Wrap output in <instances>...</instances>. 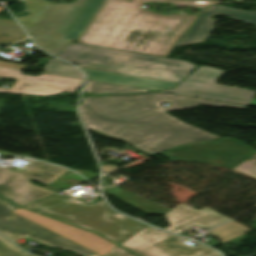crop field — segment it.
<instances>
[{
	"instance_id": "crop-field-1",
	"label": "crop field",
	"mask_w": 256,
	"mask_h": 256,
	"mask_svg": "<svg viewBox=\"0 0 256 256\" xmlns=\"http://www.w3.org/2000/svg\"><path fill=\"white\" fill-rule=\"evenodd\" d=\"M80 114L86 127L102 135L127 142L153 154L180 144L219 139L170 115L168 111L200 105L246 110L248 106L164 92L134 95H101L82 98ZM132 102L133 104H127ZM171 102L165 108L162 103ZM170 103V104H171Z\"/></svg>"
},
{
	"instance_id": "crop-field-2",
	"label": "crop field",
	"mask_w": 256,
	"mask_h": 256,
	"mask_svg": "<svg viewBox=\"0 0 256 256\" xmlns=\"http://www.w3.org/2000/svg\"><path fill=\"white\" fill-rule=\"evenodd\" d=\"M103 1L54 4L47 0H25L29 15L17 19L29 34L35 32L32 37L41 48L70 63L173 82H180L196 67L185 61L72 43ZM95 63L98 64L94 66Z\"/></svg>"
},
{
	"instance_id": "crop-field-3",
	"label": "crop field",
	"mask_w": 256,
	"mask_h": 256,
	"mask_svg": "<svg viewBox=\"0 0 256 256\" xmlns=\"http://www.w3.org/2000/svg\"><path fill=\"white\" fill-rule=\"evenodd\" d=\"M146 2H172L173 6L204 7L220 1L105 0L78 43L167 57L197 16L158 15L140 10Z\"/></svg>"
},
{
	"instance_id": "crop-field-4",
	"label": "crop field",
	"mask_w": 256,
	"mask_h": 256,
	"mask_svg": "<svg viewBox=\"0 0 256 256\" xmlns=\"http://www.w3.org/2000/svg\"><path fill=\"white\" fill-rule=\"evenodd\" d=\"M23 207L93 231L118 245L147 226L114 212L104 200L88 206L52 195Z\"/></svg>"
},
{
	"instance_id": "crop-field-5",
	"label": "crop field",
	"mask_w": 256,
	"mask_h": 256,
	"mask_svg": "<svg viewBox=\"0 0 256 256\" xmlns=\"http://www.w3.org/2000/svg\"><path fill=\"white\" fill-rule=\"evenodd\" d=\"M160 154L171 160L202 162L233 169L256 154V150L236 139L225 138L181 145Z\"/></svg>"
},
{
	"instance_id": "crop-field-6",
	"label": "crop field",
	"mask_w": 256,
	"mask_h": 256,
	"mask_svg": "<svg viewBox=\"0 0 256 256\" xmlns=\"http://www.w3.org/2000/svg\"><path fill=\"white\" fill-rule=\"evenodd\" d=\"M65 171L67 170L59 166L35 160L31 161L24 173H17L0 167V195L23 206L55 193L31 184L28 181L29 178L51 184Z\"/></svg>"
},
{
	"instance_id": "crop-field-7",
	"label": "crop field",
	"mask_w": 256,
	"mask_h": 256,
	"mask_svg": "<svg viewBox=\"0 0 256 256\" xmlns=\"http://www.w3.org/2000/svg\"><path fill=\"white\" fill-rule=\"evenodd\" d=\"M184 239L148 226L120 246L139 256H220L203 245L193 248Z\"/></svg>"
},
{
	"instance_id": "crop-field-8",
	"label": "crop field",
	"mask_w": 256,
	"mask_h": 256,
	"mask_svg": "<svg viewBox=\"0 0 256 256\" xmlns=\"http://www.w3.org/2000/svg\"><path fill=\"white\" fill-rule=\"evenodd\" d=\"M223 73L216 68L199 67L174 90L165 92L248 105L256 92L217 85L215 81Z\"/></svg>"
},
{
	"instance_id": "crop-field-9",
	"label": "crop field",
	"mask_w": 256,
	"mask_h": 256,
	"mask_svg": "<svg viewBox=\"0 0 256 256\" xmlns=\"http://www.w3.org/2000/svg\"><path fill=\"white\" fill-rule=\"evenodd\" d=\"M21 70L0 67V76L17 79L12 89L0 87V91L39 95H53L62 91L74 93L82 82V79L49 74L24 75Z\"/></svg>"
},
{
	"instance_id": "crop-field-10",
	"label": "crop field",
	"mask_w": 256,
	"mask_h": 256,
	"mask_svg": "<svg viewBox=\"0 0 256 256\" xmlns=\"http://www.w3.org/2000/svg\"><path fill=\"white\" fill-rule=\"evenodd\" d=\"M41 227H44L64 238H67L83 247H86L100 255H105L116 244L78 227L68 225L46 216L19 208L11 211Z\"/></svg>"
},
{
	"instance_id": "crop-field-11",
	"label": "crop field",
	"mask_w": 256,
	"mask_h": 256,
	"mask_svg": "<svg viewBox=\"0 0 256 256\" xmlns=\"http://www.w3.org/2000/svg\"><path fill=\"white\" fill-rule=\"evenodd\" d=\"M165 216L170 222V226L165 230L176 234L186 231L195 225L211 229L230 220L207 207L198 211L182 203L165 214Z\"/></svg>"
},
{
	"instance_id": "crop-field-12",
	"label": "crop field",
	"mask_w": 256,
	"mask_h": 256,
	"mask_svg": "<svg viewBox=\"0 0 256 256\" xmlns=\"http://www.w3.org/2000/svg\"><path fill=\"white\" fill-rule=\"evenodd\" d=\"M215 13L228 15L233 20L256 25V12H245L222 5L209 6L185 35V39H182L177 46L204 41L215 28L212 26L215 21L210 19Z\"/></svg>"
},
{
	"instance_id": "crop-field-13",
	"label": "crop field",
	"mask_w": 256,
	"mask_h": 256,
	"mask_svg": "<svg viewBox=\"0 0 256 256\" xmlns=\"http://www.w3.org/2000/svg\"><path fill=\"white\" fill-rule=\"evenodd\" d=\"M16 208L19 207L0 197V233L14 242L41 228L9 212Z\"/></svg>"
},
{
	"instance_id": "crop-field-14",
	"label": "crop field",
	"mask_w": 256,
	"mask_h": 256,
	"mask_svg": "<svg viewBox=\"0 0 256 256\" xmlns=\"http://www.w3.org/2000/svg\"><path fill=\"white\" fill-rule=\"evenodd\" d=\"M82 69L85 71L87 78L90 80H96L101 82L126 85V86L138 87V88L158 90V89L173 88L178 84V83L161 81V80L133 77V76H127V75H117L115 73L98 71V70H91V69H85V68H82Z\"/></svg>"
},
{
	"instance_id": "crop-field-15",
	"label": "crop field",
	"mask_w": 256,
	"mask_h": 256,
	"mask_svg": "<svg viewBox=\"0 0 256 256\" xmlns=\"http://www.w3.org/2000/svg\"><path fill=\"white\" fill-rule=\"evenodd\" d=\"M102 190L103 192L117 197L120 200L142 210L147 214L164 215L170 210L166 207H163L159 204H156L117 186H114L112 188H102Z\"/></svg>"
},
{
	"instance_id": "crop-field-16",
	"label": "crop field",
	"mask_w": 256,
	"mask_h": 256,
	"mask_svg": "<svg viewBox=\"0 0 256 256\" xmlns=\"http://www.w3.org/2000/svg\"><path fill=\"white\" fill-rule=\"evenodd\" d=\"M27 237L35 239L37 241H40L42 243L48 244L53 247L64 248V249L74 251L82 256H88L93 253V252H91V251H89V250H87V249L67 240V239H64V238H62L44 228L27 236Z\"/></svg>"
},
{
	"instance_id": "crop-field-17",
	"label": "crop field",
	"mask_w": 256,
	"mask_h": 256,
	"mask_svg": "<svg viewBox=\"0 0 256 256\" xmlns=\"http://www.w3.org/2000/svg\"><path fill=\"white\" fill-rule=\"evenodd\" d=\"M151 90L138 89L126 86H119L107 83H101L96 81L88 80L84 88V92L90 94H99V93H134V92H145Z\"/></svg>"
},
{
	"instance_id": "crop-field-18",
	"label": "crop field",
	"mask_w": 256,
	"mask_h": 256,
	"mask_svg": "<svg viewBox=\"0 0 256 256\" xmlns=\"http://www.w3.org/2000/svg\"><path fill=\"white\" fill-rule=\"evenodd\" d=\"M250 231L249 229L231 221L229 223H226L222 226H219L212 231H210L209 234L217 237L218 239L226 242L232 238H235L241 234H244L246 232Z\"/></svg>"
},
{
	"instance_id": "crop-field-19",
	"label": "crop field",
	"mask_w": 256,
	"mask_h": 256,
	"mask_svg": "<svg viewBox=\"0 0 256 256\" xmlns=\"http://www.w3.org/2000/svg\"><path fill=\"white\" fill-rule=\"evenodd\" d=\"M3 34L8 35V37L2 36ZM25 37V33L14 20L0 18V43L16 41Z\"/></svg>"
},
{
	"instance_id": "crop-field-20",
	"label": "crop field",
	"mask_w": 256,
	"mask_h": 256,
	"mask_svg": "<svg viewBox=\"0 0 256 256\" xmlns=\"http://www.w3.org/2000/svg\"><path fill=\"white\" fill-rule=\"evenodd\" d=\"M47 63H49V64L44 65L46 73L70 76V77H77V78L83 79L82 73L75 67L67 66L66 64H60V61H58L56 59H51Z\"/></svg>"
},
{
	"instance_id": "crop-field-21",
	"label": "crop field",
	"mask_w": 256,
	"mask_h": 256,
	"mask_svg": "<svg viewBox=\"0 0 256 256\" xmlns=\"http://www.w3.org/2000/svg\"><path fill=\"white\" fill-rule=\"evenodd\" d=\"M0 256H33L27 254L0 236Z\"/></svg>"
},
{
	"instance_id": "crop-field-22",
	"label": "crop field",
	"mask_w": 256,
	"mask_h": 256,
	"mask_svg": "<svg viewBox=\"0 0 256 256\" xmlns=\"http://www.w3.org/2000/svg\"><path fill=\"white\" fill-rule=\"evenodd\" d=\"M234 171L256 178V155L235 168Z\"/></svg>"
},
{
	"instance_id": "crop-field-23",
	"label": "crop field",
	"mask_w": 256,
	"mask_h": 256,
	"mask_svg": "<svg viewBox=\"0 0 256 256\" xmlns=\"http://www.w3.org/2000/svg\"><path fill=\"white\" fill-rule=\"evenodd\" d=\"M105 256H136V255L117 246L113 250H111L109 253H107Z\"/></svg>"
},
{
	"instance_id": "crop-field-24",
	"label": "crop field",
	"mask_w": 256,
	"mask_h": 256,
	"mask_svg": "<svg viewBox=\"0 0 256 256\" xmlns=\"http://www.w3.org/2000/svg\"><path fill=\"white\" fill-rule=\"evenodd\" d=\"M0 66L15 67V68H24L25 67V65H16V64H11V63L2 62V61H0Z\"/></svg>"
},
{
	"instance_id": "crop-field-25",
	"label": "crop field",
	"mask_w": 256,
	"mask_h": 256,
	"mask_svg": "<svg viewBox=\"0 0 256 256\" xmlns=\"http://www.w3.org/2000/svg\"><path fill=\"white\" fill-rule=\"evenodd\" d=\"M102 169H103V172H108L117 168H114V166L106 165V166H103Z\"/></svg>"
},
{
	"instance_id": "crop-field-26",
	"label": "crop field",
	"mask_w": 256,
	"mask_h": 256,
	"mask_svg": "<svg viewBox=\"0 0 256 256\" xmlns=\"http://www.w3.org/2000/svg\"><path fill=\"white\" fill-rule=\"evenodd\" d=\"M249 105H251V106H256V99H252V101L250 102Z\"/></svg>"
},
{
	"instance_id": "crop-field-27",
	"label": "crop field",
	"mask_w": 256,
	"mask_h": 256,
	"mask_svg": "<svg viewBox=\"0 0 256 256\" xmlns=\"http://www.w3.org/2000/svg\"><path fill=\"white\" fill-rule=\"evenodd\" d=\"M0 154H2V155H15V154L6 153V152H2V151H0Z\"/></svg>"
},
{
	"instance_id": "crop-field-28",
	"label": "crop field",
	"mask_w": 256,
	"mask_h": 256,
	"mask_svg": "<svg viewBox=\"0 0 256 256\" xmlns=\"http://www.w3.org/2000/svg\"><path fill=\"white\" fill-rule=\"evenodd\" d=\"M109 183H102V186H108Z\"/></svg>"
},
{
	"instance_id": "crop-field-29",
	"label": "crop field",
	"mask_w": 256,
	"mask_h": 256,
	"mask_svg": "<svg viewBox=\"0 0 256 256\" xmlns=\"http://www.w3.org/2000/svg\"><path fill=\"white\" fill-rule=\"evenodd\" d=\"M90 256H99V255H97V254L94 253V254H92V255H90Z\"/></svg>"
},
{
	"instance_id": "crop-field-30",
	"label": "crop field",
	"mask_w": 256,
	"mask_h": 256,
	"mask_svg": "<svg viewBox=\"0 0 256 256\" xmlns=\"http://www.w3.org/2000/svg\"><path fill=\"white\" fill-rule=\"evenodd\" d=\"M2 10V8L0 7V11Z\"/></svg>"
}]
</instances>
